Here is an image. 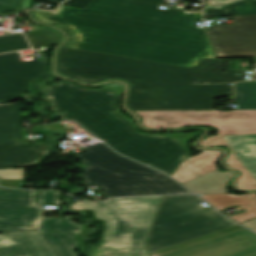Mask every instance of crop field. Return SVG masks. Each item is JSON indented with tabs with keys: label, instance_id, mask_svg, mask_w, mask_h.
I'll list each match as a JSON object with an SVG mask.
<instances>
[{
	"label": "crop field",
	"instance_id": "obj_18",
	"mask_svg": "<svg viewBox=\"0 0 256 256\" xmlns=\"http://www.w3.org/2000/svg\"><path fill=\"white\" fill-rule=\"evenodd\" d=\"M202 198L219 210L231 205H240L247 212L230 216L239 223L256 218V193H247L240 196L233 194L203 195Z\"/></svg>",
	"mask_w": 256,
	"mask_h": 256
},
{
	"label": "crop field",
	"instance_id": "obj_3",
	"mask_svg": "<svg viewBox=\"0 0 256 256\" xmlns=\"http://www.w3.org/2000/svg\"><path fill=\"white\" fill-rule=\"evenodd\" d=\"M227 62L226 74H223ZM230 61L200 60L186 68L120 56L61 48L58 70L83 82L122 78L132 85L228 83L245 80L243 70H230Z\"/></svg>",
	"mask_w": 256,
	"mask_h": 256
},
{
	"label": "crop field",
	"instance_id": "obj_27",
	"mask_svg": "<svg viewBox=\"0 0 256 256\" xmlns=\"http://www.w3.org/2000/svg\"><path fill=\"white\" fill-rule=\"evenodd\" d=\"M61 193L55 191H41L38 195L39 203L40 204H47V205H60V201L57 197Z\"/></svg>",
	"mask_w": 256,
	"mask_h": 256
},
{
	"label": "crop field",
	"instance_id": "obj_32",
	"mask_svg": "<svg viewBox=\"0 0 256 256\" xmlns=\"http://www.w3.org/2000/svg\"><path fill=\"white\" fill-rule=\"evenodd\" d=\"M35 1H42V2H48V3L59 4V3L62 2L63 0H35Z\"/></svg>",
	"mask_w": 256,
	"mask_h": 256
},
{
	"label": "crop field",
	"instance_id": "obj_24",
	"mask_svg": "<svg viewBox=\"0 0 256 256\" xmlns=\"http://www.w3.org/2000/svg\"><path fill=\"white\" fill-rule=\"evenodd\" d=\"M25 35L32 48L57 44L62 39L60 33L52 29L28 32Z\"/></svg>",
	"mask_w": 256,
	"mask_h": 256
},
{
	"label": "crop field",
	"instance_id": "obj_7",
	"mask_svg": "<svg viewBox=\"0 0 256 256\" xmlns=\"http://www.w3.org/2000/svg\"><path fill=\"white\" fill-rule=\"evenodd\" d=\"M229 84L132 86V110L212 109L213 96H232Z\"/></svg>",
	"mask_w": 256,
	"mask_h": 256
},
{
	"label": "crop field",
	"instance_id": "obj_26",
	"mask_svg": "<svg viewBox=\"0 0 256 256\" xmlns=\"http://www.w3.org/2000/svg\"><path fill=\"white\" fill-rule=\"evenodd\" d=\"M43 128L60 131L62 133L60 136H51V135L48 136V138L52 139V140L62 139L64 137V133L62 131L67 133V132H71V131H74V130L82 129L74 121H66V122H62V123L45 125V126H43Z\"/></svg>",
	"mask_w": 256,
	"mask_h": 256
},
{
	"label": "crop field",
	"instance_id": "obj_13",
	"mask_svg": "<svg viewBox=\"0 0 256 256\" xmlns=\"http://www.w3.org/2000/svg\"><path fill=\"white\" fill-rule=\"evenodd\" d=\"M163 0H93L86 9L195 26L202 14L158 9Z\"/></svg>",
	"mask_w": 256,
	"mask_h": 256
},
{
	"label": "crop field",
	"instance_id": "obj_17",
	"mask_svg": "<svg viewBox=\"0 0 256 256\" xmlns=\"http://www.w3.org/2000/svg\"><path fill=\"white\" fill-rule=\"evenodd\" d=\"M221 152L209 150L186 159L173 174V178L183 183L208 172L216 170L215 161Z\"/></svg>",
	"mask_w": 256,
	"mask_h": 256
},
{
	"label": "crop field",
	"instance_id": "obj_15",
	"mask_svg": "<svg viewBox=\"0 0 256 256\" xmlns=\"http://www.w3.org/2000/svg\"><path fill=\"white\" fill-rule=\"evenodd\" d=\"M163 256H256V234L243 229Z\"/></svg>",
	"mask_w": 256,
	"mask_h": 256
},
{
	"label": "crop field",
	"instance_id": "obj_22",
	"mask_svg": "<svg viewBox=\"0 0 256 256\" xmlns=\"http://www.w3.org/2000/svg\"><path fill=\"white\" fill-rule=\"evenodd\" d=\"M235 98L238 109H256V82L237 83Z\"/></svg>",
	"mask_w": 256,
	"mask_h": 256
},
{
	"label": "crop field",
	"instance_id": "obj_33",
	"mask_svg": "<svg viewBox=\"0 0 256 256\" xmlns=\"http://www.w3.org/2000/svg\"><path fill=\"white\" fill-rule=\"evenodd\" d=\"M254 60H255V63H256V58H254Z\"/></svg>",
	"mask_w": 256,
	"mask_h": 256
},
{
	"label": "crop field",
	"instance_id": "obj_11",
	"mask_svg": "<svg viewBox=\"0 0 256 256\" xmlns=\"http://www.w3.org/2000/svg\"><path fill=\"white\" fill-rule=\"evenodd\" d=\"M46 55L27 61H21L18 52L0 55V102L21 97L32 79L51 77L44 65Z\"/></svg>",
	"mask_w": 256,
	"mask_h": 256
},
{
	"label": "crop field",
	"instance_id": "obj_31",
	"mask_svg": "<svg viewBox=\"0 0 256 256\" xmlns=\"http://www.w3.org/2000/svg\"><path fill=\"white\" fill-rule=\"evenodd\" d=\"M242 225H244L256 232V219L242 223Z\"/></svg>",
	"mask_w": 256,
	"mask_h": 256
},
{
	"label": "crop field",
	"instance_id": "obj_10",
	"mask_svg": "<svg viewBox=\"0 0 256 256\" xmlns=\"http://www.w3.org/2000/svg\"><path fill=\"white\" fill-rule=\"evenodd\" d=\"M232 18L234 25L206 30L217 57H256V16Z\"/></svg>",
	"mask_w": 256,
	"mask_h": 256
},
{
	"label": "crop field",
	"instance_id": "obj_19",
	"mask_svg": "<svg viewBox=\"0 0 256 256\" xmlns=\"http://www.w3.org/2000/svg\"><path fill=\"white\" fill-rule=\"evenodd\" d=\"M232 177L229 171L216 170L183 184L197 194L229 193L225 186Z\"/></svg>",
	"mask_w": 256,
	"mask_h": 256
},
{
	"label": "crop field",
	"instance_id": "obj_8",
	"mask_svg": "<svg viewBox=\"0 0 256 256\" xmlns=\"http://www.w3.org/2000/svg\"><path fill=\"white\" fill-rule=\"evenodd\" d=\"M147 128H177L207 124L219 129L218 135L256 134V110H173L134 111Z\"/></svg>",
	"mask_w": 256,
	"mask_h": 256
},
{
	"label": "crop field",
	"instance_id": "obj_20",
	"mask_svg": "<svg viewBox=\"0 0 256 256\" xmlns=\"http://www.w3.org/2000/svg\"><path fill=\"white\" fill-rule=\"evenodd\" d=\"M40 233L55 256H77L73 250L77 245V242L73 241V235L55 234L42 231H40Z\"/></svg>",
	"mask_w": 256,
	"mask_h": 256
},
{
	"label": "crop field",
	"instance_id": "obj_9",
	"mask_svg": "<svg viewBox=\"0 0 256 256\" xmlns=\"http://www.w3.org/2000/svg\"><path fill=\"white\" fill-rule=\"evenodd\" d=\"M19 102L0 106V169L19 168L39 163L49 145H22Z\"/></svg>",
	"mask_w": 256,
	"mask_h": 256
},
{
	"label": "crop field",
	"instance_id": "obj_21",
	"mask_svg": "<svg viewBox=\"0 0 256 256\" xmlns=\"http://www.w3.org/2000/svg\"><path fill=\"white\" fill-rule=\"evenodd\" d=\"M256 15V0H244L222 8V10L205 9V17Z\"/></svg>",
	"mask_w": 256,
	"mask_h": 256
},
{
	"label": "crop field",
	"instance_id": "obj_28",
	"mask_svg": "<svg viewBox=\"0 0 256 256\" xmlns=\"http://www.w3.org/2000/svg\"><path fill=\"white\" fill-rule=\"evenodd\" d=\"M21 0H0V13L18 10Z\"/></svg>",
	"mask_w": 256,
	"mask_h": 256
},
{
	"label": "crop field",
	"instance_id": "obj_16",
	"mask_svg": "<svg viewBox=\"0 0 256 256\" xmlns=\"http://www.w3.org/2000/svg\"><path fill=\"white\" fill-rule=\"evenodd\" d=\"M44 244L36 232L0 234V256H52Z\"/></svg>",
	"mask_w": 256,
	"mask_h": 256
},
{
	"label": "crop field",
	"instance_id": "obj_5",
	"mask_svg": "<svg viewBox=\"0 0 256 256\" xmlns=\"http://www.w3.org/2000/svg\"><path fill=\"white\" fill-rule=\"evenodd\" d=\"M84 148L89 151L75 155L88 165L81 178L85 184H99L107 196L191 193L167 176L118 155L103 143Z\"/></svg>",
	"mask_w": 256,
	"mask_h": 256
},
{
	"label": "crop field",
	"instance_id": "obj_25",
	"mask_svg": "<svg viewBox=\"0 0 256 256\" xmlns=\"http://www.w3.org/2000/svg\"><path fill=\"white\" fill-rule=\"evenodd\" d=\"M30 48L22 34L0 37V53Z\"/></svg>",
	"mask_w": 256,
	"mask_h": 256
},
{
	"label": "crop field",
	"instance_id": "obj_1",
	"mask_svg": "<svg viewBox=\"0 0 256 256\" xmlns=\"http://www.w3.org/2000/svg\"><path fill=\"white\" fill-rule=\"evenodd\" d=\"M32 13L72 30L77 36L74 49L187 67L196 66L199 59L215 58L204 31L190 26L63 6L56 12Z\"/></svg>",
	"mask_w": 256,
	"mask_h": 256
},
{
	"label": "crop field",
	"instance_id": "obj_14",
	"mask_svg": "<svg viewBox=\"0 0 256 256\" xmlns=\"http://www.w3.org/2000/svg\"><path fill=\"white\" fill-rule=\"evenodd\" d=\"M201 146L224 145L232 152L225 164L242 172L236 188L256 189V135L213 136L200 142Z\"/></svg>",
	"mask_w": 256,
	"mask_h": 256
},
{
	"label": "crop field",
	"instance_id": "obj_4",
	"mask_svg": "<svg viewBox=\"0 0 256 256\" xmlns=\"http://www.w3.org/2000/svg\"><path fill=\"white\" fill-rule=\"evenodd\" d=\"M160 203V196L116 198L105 202H76L69 209H90L105 220L99 248L88 256H150L145 243Z\"/></svg>",
	"mask_w": 256,
	"mask_h": 256
},
{
	"label": "crop field",
	"instance_id": "obj_29",
	"mask_svg": "<svg viewBox=\"0 0 256 256\" xmlns=\"http://www.w3.org/2000/svg\"><path fill=\"white\" fill-rule=\"evenodd\" d=\"M209 4L205 5V8L221 9V7L240 1V0H209Z\"/></svg>",
	"mask_w": 256,
	"mask_h": 256
},
{
	"label": "crop field",
	"instance_id": "obj_2",
	"mask_svg": "<svg viewBox=\"0 0 256 256\" xmlns=\"http://www.w3.org/2000/svg\"><path fill=\"white\" fill-rule=\"evenodd\" d=\"M45 87V98L54 103L53 110L64 119H73L90 130L117 152L168 175L179 166L187 154L189 141L201 131L187 134L136 133L130 122L115 111V100L123 90L112 84L102 90H91L71 83Z\"/></svg>",
	"mask_w": 256,
	"mask_h": 256
},
{
	"label": "crop field",
	"instance_id": "obj_23",
	"mask_svg": "<svg viewBox=\"0 0 256 256\" xmlns=\"http://www.w3.org/2000/svg\"><path fill=\"white\" fill-rule=\"evenodd\" d=\"M81 225L70 221V217L63 219L44 217L40 229L43 231L64 232V233H79Z\"/></svg>",
	"mask_w": 256,
	"mask_h": 256
},
{
	"label": "crop field",
	"instance_id": "obj_12",
	"mask_svg": "<svg viewBox=\"0 0 256 256\" xmlns=\"http://www.w3.org/2000/svg\"><path fill=\"white\" fill-rule=\"evenodd\" d=\"M36 193L0 188V233L37 229L43 210L36 205Z\"/></svg>",
	"mask_w": 256,
	"mask_h": 256
},
{
	"label": "crop field",
	"instance_id": "obj_30",
	"mask_svg": "<svg viewBox=\"0 0 256 256\" xmlns=\"http://www.w3.org/2000/svg\"><path fill=\"white\" fill-rule=\"evenodd\" d=\"M91 1L92 0H69V1L64 2L62 5L85 9L86 6ZM196 1H201V0H196Z\"/></svg>",
	"mask_w": 256,
	"mask_h": 256
},
{
	"label": "crop field",
	"instance_id": "obj_6",
	"mask_svg": "<svg viewBox=\"0 0 256 256\" xmlns=\"http://www.w3.org/2000/svg\"><path fill=\"white\" fill-rule=\"evenodd\" d=\"M195 195L161 196L148 237L149 253L236 225Z\"/></svg>",
	"mask_w": 256,
	"mask_h": 256
}]
</instances>
